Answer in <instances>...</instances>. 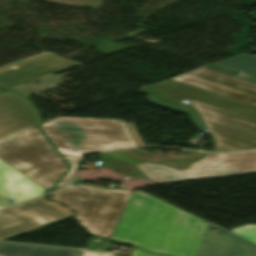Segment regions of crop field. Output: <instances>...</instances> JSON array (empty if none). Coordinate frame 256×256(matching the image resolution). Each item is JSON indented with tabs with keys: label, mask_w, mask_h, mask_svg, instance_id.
Returning a JSON list of instances; mask_svg holds the SVG:
<instances>
[{
	"label": "crop field",
	"mask_w": 256,
	"mask_h": 256,
	"mask_svg": "<svg viewBox=\"0 0 256 256\" xmlns=\"http://www.w3.org/2000/svg\"><path fill=\"white\" fill-rule=\"evenodd\" d=\"M131 256H159V255H153L145 251H141L138 249L133 248Z\"/></svg>",
	"instance_id": "18"
},
{
	"label": "crop field",
	"mask_w": 256,
	"mask_h": 256,
	"mask_svg": "<svg viewBox=\"0 0 256 256\" xmlns=\"http://www.w3.org/2000/svg\"><path fill=\"white\" fill-rule=\"evenodd\" d=\"M80 181H81V180H80ZM80 181L78 180V177H77V176H75L71 184H78V183H82V182H80Z\"/></svg>",
	"instance_id": "19"
},
{
	"label": "crop field",
	"mask_w": 256,
	"mask_h": 256,
	"mask_svg": "<svg viewBox=\"0 0 256 256\" xmlns=\"http://www.w3.org/2000/svg\"><path fill=\"white\" fill-rule=\"evenodd\" d=\"M44 194V189L0 159V209L12 205L6 201L14 198L17 203Z\"/></svg>",
	"instance_id": "11"
},
{
	"label": "crop field",
	"mask_w": 256,
	"mask_h": 256,
	"mask_svg": "<svg viewBox=\"0 0 256 256\" xmlns=\"http://www.w3.org/2000/svg\"><path fill=\"white\" fill-rule=\"evenodd\" d=\"M66 160L70 164L71 168L68 171V173L63 177V179L57 184L55 189L68 185V183L70 181V178H71V176H72V174L75 170V167H76V165L79 161V160H76V159H68V158H66Z\"/></svg>",
	"instance_id": "15"
},
{
	"label": "crop field",
	"mask_w": 256,
	"mask_h": 256,
	"mask_svg": "<svg viewBox=\"0 0 256 256\" xmlns=\"http://www.w3.org/2000/svg\"><path fill=\"white\" fill-rule=\"evenodd\" d=\"M208 221L143 191H133L110 240L152 253L195 256Z\"/></svg>",
	"instance_id": "2"
},
{
	"label": "crop field",
	"mask_w": 256,
	"mask_h": 256,
	"mask_svg": "<svg viewBox=\"0 0 256 256\" xmlns=\"http://www.w3.org/2000/svg\"><path fill=\"white\" fill-rule=\"evenodd\" d=\"M31 105L9 91L0 93V136L41 123Z\"/></svg>",
	"instance_id": "10"
},
{
	"label": "crop field",
	"mask_w": 256,
	"mask_h": 256,
	"mask_svg": "<svg viewBox=\"0 0 256 256\" xmlns=\"http://www.w3.org/2000/svg\"><path fill=\"white\" fill-rule=\"evenodd\" d=\"M196 256H256V244L210 222Z\"/></svg>",
	"instance_id": "9"
},
{
	"label": "crop field",
	"mask_w": 256,
	"mask_h": 256,
	"mask_svg": "<svg viewBox=\"0 0 256 256\" xmlns=\"http://www.w3.org/2000/svg\"><path fill=\"white\" fill-rule=\"evenodd\" d=\"M140 90L149 93L151 102L188 113L203 131L194 108L181 103L190 99L209 127L216 151L256 148V85L200 68Z\"/></svg>",
	"instance_id": "1"
},
{
	"label": "crop field",
	"mask_w": 256,
	"mask_h": 256,
	"mask_svg": "<svg viewBox=\"0 0 256 256\" xmlns=\"http://www.w3.org/2000/svg\"><path fill=\"white\" fill-rule=\"evenodd\" d=\"M0 91H3V90L0 89Z\"/></svg>",
	"instance_id": "20"
},
{
	"label": "crop field",
	"mask_w": 256,
	"mask_h": 256,
	"mask_svg": "<svg viewBox=\"0 0 256 256\" xmlns=\"http://www.w3.org/2000/svg\"><path fill=\"white\" fill-rule=\"evenodd\" d=\"M148 178L161 184L256 172V151L216 155L211 154L188 169L143 163L136 165Z\"/></svg>",
	"instance_id": "6"
},
{
	"label": "crop field",
	"mask_w": 256,
	"mask_h": 256,
	"mask_svg": "<svg viewBox=\"0 0 256 256\" xmlns=\"http://www.w3.org/2000/svg\"><path fill=\"white\" fill-rule=\"evenodd\" d=\"M132 192L79 185L50 194L75 210L73 219L91 234L110 238Z\"/></svg>",
	"instance_id": "5"
},
{
	"label": "crop field",
	"mask_w": 256,
	"mask_h": 256,
	"mask_svg": "<svg viewBox=\"0 0 256 256\" xmlns=\"http://www.w3.org/2000/svg\"><path fill=\"white\" fill-rule=\"evenodd\" d=\"M81 63L42 54L0 69V87L10 88L24 82L71 68Z\"/></svg>",
	"instance_id": "8"
},
{
	"label": "crop field",
	"mask_w": 256,
	"mask_h": 256,
	"mask_svg": "<svg viewBox=\"0 0 256 256\" xmlns=\"http://www.w3.org/2000/svg\"><path fill=\"white\" fill-rule=\"evenodd\" d=\"M0 158L46 190L68 168L38 125L0 137Z\"/></svg>",
	"instance_id": "4"
},
{
	"label": "crop field",
	"mask_w": 256,
	"mask_h": 256,
	"mask_svg": "<svg viewBox=\"0 0 256 256\" xmlns=\"http://www.w3.org/2000/svg\"><path fill=\"white\" fill-rule=\"evenodd\" d=\"M126 125H127L128 129H129V131H130V133H131V135H132V137H133L137 147L144 146V144H143V142H142V140H141V138H140V136H139L135 126H134V124L133 123H126Z\"/></svg>",
	"instance_id": "16"
},
{
	"label": "crop field",
	"mask_w": 256,
	"mask_h": 256,
	"mask_svg": "<svg viewBox=\"0 0 256 256\" xmlns=\"http://www.w3.org/2000/svg\"><path fill=\"white\" fill-rule=\"evenodd\" d=\"M83 252L79 249L0 243V256H82Z\"/></svg>",
	"instance_id": "13"
},
{
	"label": "crop field",
	"mask_w": 256,
	"mask_h": 256,
	"mask_svg": "<svg viewBox=\"0 0 256 256\" xmlns=\"http://www.w3.org/2000/svg\"><path fill=\"white\" fill-rule=\"evenodd\" d=\"M203 68L256 84V57L247 53L208 65ZM229 72L235 73V75Z\"/></svg>",
	"instance_id": "12"
},
{
	"label": "crop field",
	"mask_w": 256,
	"mask_h": 256,
	"mask_svg": "<svg viewBox=\"0 0 256 256\" xmlns=\"http://www.w3.org/2000/svg\"><path fill=\"white\" fill-rule=\"evenodd\" d=\"M47 196L25 202L0 212V240H7L68 219L71 211L48 202Z\"/></svg>",
	"instance_id": "7"
},
{
	"label": "crop field",
	"mask_w": 256,
	"mask_h": 256,
	"mask_svg": "<svg viewBox=\"0 0 256 256\" xmlns=\"http://www.w3.org/2000/svg\"><path fill=\"white\" fill-rule=\"evenodd\" d=\"M41 129L63 157L136 147L123 120L58 117L43 123Z\"/></svg>",
	"instance_id": "3"
},
{
	"label": "crop field",
	"mask_w": 256,
	"mask_h": 256,
	"mask_svg": "<svg viewBox=\"0 0 256 256\" xmlns=\"http://www.w3.org/2000/svg\"><path fill=\"white\" fill-rule=\"evenodd\" d=\"M231 232L256 243V224L236 227Z\"/></svg>",
	"instance_id": "14"
},
{
	"label": "crop field",
	"mask_w": 256,
	"mask_h": 256,
	"mask_svg": "<svg viewBox=\"0 0 256 256\" xmlns=\"http://www.w3.org/2000/svg\"><path fill=\"white\" fill-rule=\"evenodd\" d=\"M113 253L85 250L83 256H113Z\"/></svg>",
	"instance_id": "17"
}]
</instances>
